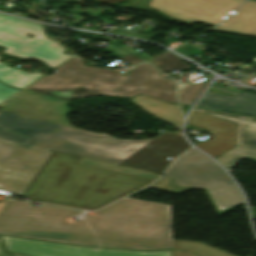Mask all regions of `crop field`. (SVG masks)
Listing matches in <instances>:
<instances>
[{
  "mask_svg": "<svg viewBox=\"0 0 256 256\" xmlns=\"http://www.w3.org/2000/svg\"><path fill=\"white\" fill-rule=\"evenodd\" d=\"M7 253L11 256H24V255H20V254H16V253H13V252H9L7 251Z\"/></svg>",
  "mask_w": 256,
  "mask_h": 256,
  "instance_id": "obj_25",
  "label": "crop field"
},
{
  "mask_svg": "<svg viewBox=\"0 0 256 256\" xmlns=\"http://www.w3.org/2000/svg\"><path fill=\"white\" fill-rule=\"evenodd\" d=\"M29 32L35 38L25 34ZM0 46L7 48L4 53L26 58H35L46 63L49 67H56L71 55L62 54L67 48L56 40L46 39L41 24H35L0 14ZM1 58V56H0ZM44 74L37 69L32 74L7 64L0 63V80L8 85L23 89Z\"/></svg>",
  "mask_w": 256,
  "mask_h": 256,
  "instance_id": "obj_5",
  "label": "crop field"
},
{
  "mask_svg": "<svg viewBox=\"0 0 256 256\" xmlns=\"http://www.w3.org/2000/svg\"><path fill=\"white\" fill-rule=\"evenodd\" d=\"M95 2H100V3H106V4H115L116 2L124 1V0H94Z\"/></svg>",
  "mask_w": 256,
  "mask_h": 256,
  "instance_id": "obj_22",
  "label": "crop field"
},
{
  "mask_svg": "<svg viewBox=\"0 0 256 256\" xmlns=\"http://www.w3.org/2000/svg\"><path fill=\"white\" fill-rule=\"evenodd\" d=\"M12 99V98H11ZM68 102L23 91L0 110V126L30 137L28 144L162 174L191 145L182 134L154 140H121L83 131L65 123Z\"/></svg>",
  "mask_w": 256,
  "mask_h": 256,
  "instance_id": "obj_2",
  "label": "crop field"
},
{
  "mask_svg": "<svg viewBox=\"0 0 256 256\" xmlns=\"http://www.w3.org/2000/svg\"><path fill=\"white\" fill-rule=\"evenodd\" d=\"M0 256H7L6 254H4V253L2 252L1 245H0Z\"/></svg>",
  "mask_w": 256,
  "mask_h": 256,
  "instance_id": "obj_26",
  "label": "crop field"
},
{
  "mask_svg": "<svg viewBox=\"0 0 256 256\" xmlns=\"http://www.w3.org/2000/svg\"><path fill=\"white\" fill-rule=\"evenodd\" d=\"M188 124L208 130L212 138L209 142H201L198 148L211 154L214 158L222 155L235 146V124L205 114L192 111Z\"/></svg>",
  "mask_w": 256,
  "mask_h": 256,
  "instance_id": "obj_11",
  "label": "crop field"
},
{
  "mask_svg": "<svg viewBox=\"0 0 256 256\" xmlns=\"http://www.w3.org/2000/svg\"><path fill=\"white\" fill-rule=\"evenodd\" d=\"M0 138L26 143L28 137L0 128Z\"/></svg>",
  "mask_w": 256,
  "mask_h": 256,
  "instance_id": "obj_18",
  "label": "crop field"
},
{
  "mask_svg": "<svg viewBox=\"0 0 256 256\" xmlns=\"http://www.w3.org/2000/svg\"><path fill=\"white\" fill-rule=\"evenodd\" d=\"M174 256H198V255L180 251V250H174Z\"/></svg>",
  "mask_w": 256,
  "mask_h": 256,
  "instance_id": "obj_21",
  "label": "crop field"
},
{
  "mask_svg": "<svg viewBox=\"0 0 256 256\" xmlns=\"http://www.w3.org/2000/svg\"><path fill=\"white\" fill-rule=\"evenodd\" d=\"M171 176L172 192L205 189L219 215L243 203L242 196L224 171L210 158L192 148L173 162L164 174Z\"/></svg>",
  "mask_w": 256,
  "mask_h": 256,
  "instance_id": "obj_6",
  "label": "crop field"
},
{
  "mask_svg": "<svg viewBox=\"0 0 256 256\" xmlns=\"http://www.w3.org/2000/svg\"><path fill=\"white\" fill-rule=\"evenodd\" d=\"M131 100L157 118L182 130L183 118L179 105L161 102L144 95Z\"/></svg>",
  "mask_w": 256,
  "mask_h": 256,
  "instance_id": "obj_14",
  "label": "crop field"
},
{
  "mask_svg": "<svg viewBox=\"0 0 256 256\" xmlns=\"http://www.w3.org/2000/svg\"><path fill=\"white\" fill-rule=\"evenodd\" d=\"M8 202L7 199H4L1 203H0V211L2 210V208L5 206V204Z\"/></svg>",
  "mask_w": 256,
  "mask_h": 256,
  "instance_id": "obj_23",
  "label": "crop field"
},
{
  "mask_svg": "<svg viewBox=\"0 0 256 256\" xmlns=\"http://www.w3.org/2000/svg\"><path fill=\"white\" fill-rule=\"evenodd\" d=\"M207 81H204L198 85L183 84L179 87V99L181 104L192 106L196 99L201 94Z\"/></svg>",
  "mask_w": 256,
  "mask_h": 256,
  "instance_id": "obj_17",
  "label": "crop field"
},
{
  "mask_svg": "<svg viewBox=\"0 0 256 256\" xmlns=\"http://www.w3.org/2000/svg\"><path fill=\"white\" fill-rule=\"evenodd\" d=\"M83 65V60L73 57L57 68V73L44 77L27 90L66 100L95 95L132 97L142 93L177 103L176 94L170 92L176 86L174 81L158 77L160 72L149 64L137 66L125 77L115 71Z\"/></svg>",
  "mask_w": 256,
  "mask_h": 256,
  "instance_id": "obj_4",
  "label": "crop field"
},
{
  "mask_svg": "<svg viewBox=\"0 0 256 256\" xmlns=\"http://www.w3.org/2000/svg\"><path fill=\"white\" fill-rule=\"evenodd\" d=\"M195 111L238 123L236 146L217 158L227 169L243 158L256 161V118L195 108Z\"/></svg>",
  "mask_w": 256,
  "mask_h": 256,
  "instance_id": "obj_10",
  "label": "crop field"
},
{
  "mask_svg": "<svg viewBox=\"0 0 256 256\" xmlns=\"http://www.w3.org/2000/svg\"><path fill=\"white\" fill-rule=\"evenodd\" d=\"M213 87L236 96H221L213 93L211 90H208L202 100L198 103V107L256 116V95L245 92L237 93L228 91L226 88L219 85H213Z\"/></svg>",
  "mask_w": 256,
  "mask_h": 256,
  "instance_id": "obj_12",
  "label": "crop field"
},
{
  "mask_svg": "<svg viewBox=\"0 0 256 256\" xmlns=\"http://www.w3.org/2000/svg\"><path fill=\"white\" fill-rule=\"evenodd\" d=\"M80 158L53 151L23 195L36 201L94 210L152 182L76 163Z\"/></svg>",
  "mask_w": 256,
  "mask_h": 256,
  "instance_id": "obj_3",
  "label": "crop field"
},
{
  "mask_svg": "<svg viewBox=\"0 0 256 256\" xmlns=\"http://www.w3.org/2000/svg\"><path fill=\"white\" fill-rule=\"evenodd\" d=\"M5 248L30 256H171L172 250L140 252L120 249H95L40 242L4 236Z\"/></svg>",
  "mask_w": 256,
  "mask_h": 256,
  "instance_id": "obj_9",
  "label": "crop field"
},
{
  "mask_svg": "<svg viewBox=\"0 0 256 256\" xmlns=\"http://www.w3.org/2000/svg\"><path fill=\"white\" fill-rule=\"evenodd\" d=\"M173 244L175 249L196 253L201 256H232L202 242L173 240Z\"/></svg>",
  "mask_w": 256,
  "mask_h": 256,
  "instance_id": "obj_15",
  "label": "crop field"
},
{
  "mask_svg": "<svg viewBox=\"0 0 256 256\" xmlns=\"http://www.w3.org/2000/svg\"><path fill=\"white\" fill-rule=\"evenodd\" d=\"M140 57H141V59H143V60H147V59H149V58H151L149 55H146V54H142V55H140Z\"/></svg>",
  "mask_w": 256,
  "mask_h": 256,
  "instance_id": "obj_24",
  "label": "crop field"
},
{
  "mask_svg": "<svg viewBox=\"0 0 256 256\" xmlns=\"http://www.w3.org/2000/svg\"><path fill=\"white\" fill-rule=\"evenodd\" d=\"M180 59L181 58L167 51L151 59L150 62L164 72L174 69H184L190 67L184 62H182Z\"/></svg>",
  "mask_w": 256,
  "mask_h": 256,
  "instance_id": "obj_16",
  "label": "crop field"
},
{
  "mask_svg": "<svg viewBox=\"0 0 256 256\" xmlns=\"http://www.w3.org/2000/svg\"><path fill=\"white\" fill-rule=\"evenodd\" d=\"M51 150L0 139V189L23 194Z\"/></svg>",
  "mask_w": 256,
  "mask_h": 256,
  "instance_id": "obj_7",
  "label": "crop field"
},
{
  "mask_svg": "<svg viewBox=\"0 0 256 256\" xmlns=\"http://www.w3.org/2000/svg\"><path fill=\"white\" fill-rule=\"evenodd\" d=\"M19 89H14L0 82V103L8 99L10 96L18 92Z\"/></svg>",
  "mask_w": 256,
  "mask_h": 256,
  "instance_id": "obj_19",
  "label": "crop field"
},
{
  "mask_svg": "<svg viewBox=\"0 0 256 256\" xmlns=\"http://www.w3.org/2000/svg\"><path fill=\"white\" fill-rule=\"evenodd\" d=\"M120 59H122V60H124V61H126V62H128V63H130L132 65L142 61L141 59H138V58H136V57H134L132 55H128V56L122 57Z\"/></svg>",
  "mask_w": 256,
  "mask_h": 256,
  "instance_id": "obj_20",
  "label": "crop field"
},
{
  "mask_svg": "<svg viewBox=\"0 0 256 256\" xmlns=\"http://www.w3.org/2000/svg\"><path fill=\"white\" fill-rule=\"evenodd\" d=\"M151 187L171 192L170 177L72 224L67 219L83 211L10 199L0 213V233L94 247L173 248L170 206L129 199Z\"/></svg>",
  "mask_w": 256,
  "mask_h": 256,
  "instance_id": "obj_1",
  "label": "crop field"
},
{
  "mask_svg": "<svg viewBox=\"0 0 256 256\" xmlns=\"http://www.w3.org/2000/svg\"><path fill=\"white\" fill-rule=\"evenodd\" d=\"M244 1L245 0H151L148 6L190 25L198 21L215 26Z\"/></svg>",
  "mask_w": 256,
  "mask_h": 256,
  "instance_id": "obj_8",
  "label": "crop field"
},
{
  "mask_svg": "<svg viewBox=\"0 0 256 256\" xmlns=\"http://www.w3.org/2000/svg\"><path fill=\"white\" fill-rule=\"evenodd\" d=\"M212 31L237 33L256 37V2L248 0Z\"/></svg>",
  "mask_w": 256,
  "mask_h": 256,
  "instance_id": "obj_13",
  "label": "crop field"
}]
</instances>
